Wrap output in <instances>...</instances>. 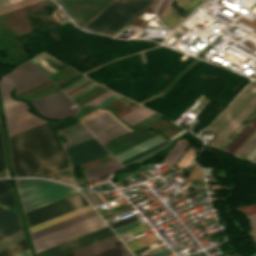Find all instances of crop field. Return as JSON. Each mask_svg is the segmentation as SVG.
I'll return each instance as SVG.
<instances>
[{
	"mask_svg": "<svg viewBox=\"0 0 256 256\" xmlns=\"http://www.w3.org/2000/svg\"><path fill=\"white\" fill-rule=\"evenodd\" d=\"M112 235H114V233L110 230L109 226H107L105 228L65 242L45 251L39 252L36 254V256H60Z\"/></svg>",
	"mask_w": 256,
	"mask_h": 256,
	"instance_id": "crop-field-13",
	"label": "crop field"
},
{
	"mask_svg": "<svg viewBox=\"0 0 256 256\" xmlns=\"http://www.w3.org/2000/svg\"><path fill=\"white\" fill-rule=\"evenodd\" d=\"M27 249L25 240H22L2 251H0V256H13L23 250Z\"/></svg>",
	"mask_w": 256,
	"mask_h": 256,
	"instance_id": "crop-field-27",
	"label": "crop field"
},
{
	"mask_svg": "<svg viewBox=\"0 0 256 256\" xmlns=\"http://www.w3.org/2000/svg\"><path fill=\"white\" fill-rule=\"evenodd\" d=\"M16 1H19V0H0V7Z\"/></svg>",
	"mask_w": 256,
	"mask_h": 256,
	"instance_id": "crop-field-45",
	"label": "crop field"
},
{
	"mask_svg": "<svg viewBox=\"0 0 256 256\" xmlns=\"http://www.w3.org/2000/svg\"><path fill=\"white\" fill-rule=\"evenodd\" d=\"M250 220H251V222H252V224H253V226H254V228H255V230H256V215L250 217Z\"/></svg>",
	"mask_w": 256,
	"mask_h": 256,
	"instance_id": "crop-field-47",
	"label": "crop field"
},
{
	"mask_svg": "<svg viewBox=\"0 0 256 256\" xmlns=\"http://www.w3.org/2000/svg\"><path fill=\"white\" fill-rule=\"evenodd\" d=\"M116 164H118V162L115 159H113L111 161H108L106 163H103V164L98 165V166H96L94 168H91L89 170L84 171V174H85V176H87L89 174L95 173L97 171H100L102 169L108 168V167L116 165Z\"/></svg>",
	"mask_w": 256,
	"mask_h": 256,
	"instance_id": "crop-field-32",
	"label": "crop field"
},
{
	"mask_svg": "<svg viewBox=\"0 0 256 256\" xmlns=\"http://www.w3.org/2000/svg\"><path fill=\"white\" fill-rule=\"evenodd\" d=\"M96 86H98V85H96V84L94 83V84H92V85L86 87L85 89L79 91L78 93H76V94H74V95H72V96H70V97H71V99L73 100V99L79 97L80 95L86 93L87 91L91 90L92 88H94V87H96Z\"/></svg>",
	"mask_w": 256,
	"mask_h": 256,
	"instance_id": "crop-field-42",
	"label": "crop field"
},
{
	"mask_svg": "<svg viewBox=\"0 0 256 256\" xmlns=\"http://www.w3.org/2000/svg\"><path fill=\"white\" fill-rule=\"evenodd\" d=\"M255 96L256 81H253L205 130L221 133L231 123V121L254 99Z\"/></svg>",
	"mask_w": 256,
	"mask_h": 256,
	"instance_id": "crop-field-8",
	"label": "crop field"
},
{
	"mask_svg": "<svg viewBox=\"0 0 256 256\" xmlns=\"http://www.w3.org/2000/svg\"><path fill=\"white\" fill-rule=\"evenodd\" d=\"M127 246L129 247V249L131 251L136 250L138 248H141V245L138 243V241L130 243V244H127Z\"/></svg>",
	"mask_w": 256,
	"mask_h": 256,
	"instance_id": "crop-field-44",
	"label": "crop field"
},
{
	"mask_svg": "<svg viewBox=\"0 0 256 256\" xmlns=\"http://www.w3.org/2000/svg\"><path fill=\"white\" fill-rule=\"evenodd\" d=\"M81 192L84 194V196L87 198V200L93 205V207L96 206V205H99L100 203L103 204L95 194H94L95 197L100 201V203H99L98 200L93 196L92 193H88V192H84V191H81Z\"/></svg>",
	"mask_w": 256,
	"mask_h": 256,
	"instance_id": "crop-field-37",
	"label": "crop field"
},
{
	"mask_svg": "<svg viewBox=\"0 0 256 256\" xmlns=\"http://www.w3.org/2000/svg\"><path fill=\"white\" fill-rule=\"evenodd\" d=\"M15 256H29L28 250H25V251H23V252H21V253L15 255Z\"/></svg>",
	"mask_w": 256,
	"mask_h": 256,
	"instance_id": "crop-field-49",
	"label": "crop field"
},
{
	"mask_svg": "<svg viewBox=\"0 0 256 256\" xmlns=\"http://www.w3.org/2000/svg\"><path fill=\"white\" fill-rule=\"evenodd\" d=\"M107 224L99 215L79 222L52 234L46 235L33 241L36 253L52 246L58 245L65 241L79 237L86 233L92 232L99 228L105 227Z\"/></svg>",
	"mask_w": 256,
	"mask_h": 256,
	"instance_id": "crop-field-5",
	"label": "crop field"
},
{
	"mask_svg": "<svg viewBox=\"0 0 256 256\" xmlns=\"http://www.w3.org/2000/svg\"><path fill=\"white\" fill-rule=\"evenodd\" d=\"M82 26L112 0H56Z\"/></svg>",
	"mask_w": 256,
	"mask_h": 256,
	"instance_id": "crop-field-9",
	"label": "crop field"
},
{
	"mask_svg": "<svg viewBox=\"0 0 256 256\" xmlns=\"http://www.w3.org/2000/svg\"><path fill=\"white\" fill-rule=\"evenodd\" d=\"M186 12L187 17L190 12L197 7L198 5L202 4L205 0H179ZM184 17V18H185ZM184 18L181 20L176 15V13L171 8L169 11H167L161 18H159L162 23L168 28L173 29L178 23H180Z\"/></svg>",
	"mask_w": 256,
	"mask_h": 256,
	"instance_id": "crop-field-18",
	"label": "crop field"
},
{
	"mask_svg": "<svg viewBox=\"0 0 256 256\" xmlns=\"http://www.w3.org/2000/svg\"><path fill=\"white\" fill-rule=\"evenodd\" d=\"M97 215L96 211L93 210V211H90L88 213H85V214H82L80 216H77V217H74V218H71L69 220H66V221H63L61 223H58V224H55L53 226H50V227H47V228H44L42 230H39V231H36L34 233H31V239H35V238H38V237H41L43 235H46L48 233H51L53 231H56V230H59L61 228H64L66 226H69L71 224H74V223H77L79 221H82L84 219H87L89 217H92V216H95Z\"/></svg>",
	"mask_w": 256,
	"mask_h": 256,
	"instance_id": "crop-field-20",
	"label": "crop field"
},
{
	"mask_svg": "<svg viewBox=\"0 0 256 256\" xmlns=\"http://www.w3.org/2000/svg\"><path fill=\"white\" fill-rule=\"evenodd\" d=\"M157 135V133L152 131H144V132H136L132 131L120 138H117L107 144L105 146L109 149V151L115 155L127 148H130L142 141H145L153 136Z\"/></svg>",
	"mask_w": 256,
	"mask_h": 256,
	"instance_id": "crop-field-15",
	"label": "crop field"
},
{
	"mask_svg": "<svg viewBox=\"0 0 256 256\" xmlns=\"http://www.w3.org/2000/svg\"><path fill=\"white\" fill-rule=\"evenodd\" d=\"M49 80L29 60L14 68V70L0 79V89L3 104L10 102L12 85L16 94Z\"/></svg>",
	"mask_w": 256,
	"mask_h": 256,
	"instance_id": "crop-field-4",
	"label": "crop field"
},
{
	"mask_svg": "<svg viewBox=\"0 0 256 256\" xmlns=\"http://www.w3.org/2000/svg\"><path fill=\"white\" fill-rule=\"evenodd\" d=\"M84 124L103 144L129 132L106 112L84 122Z\"/></svg>",
	"mask_w": 256,
	"mask_h": 256,
	"instance_id": "crop-field-11",
	"label": "crop field"
},
{
	"mask_svg": "<svg viewBox=\"0 0 256 256\" xmlns=\"http://www.w3.org/2000/svg\"><path fill=\"white\" fill-rule=\"evenodd\" d=\"M256 130V117L239 133V135L224 149L233 154L237 148Z\"/></svg>",
	"mask_w": 256,
	"mask_h": 256,
	"instance_id": "crop-field-22",
	"label": "crop field"
},
{
	"mask_svg": "<svg viewBox=\"0 0 256 256\" xmlns=\"http://www.w3.org/2000/svg\"><path fill=\"white\" fill-rule=\"evenodd\" d=\"M9 136L19 133L23 130L46 123L44 120L34 117L25 110L29 109L26 104L20 101H13L3 105Z\"/></svg>",
	"mask_w": 256,
	"mask_h": 256,
	"instance_id": "crop-field-7",
	"label": "crop field"
},
{
	"mask_svg": "<svg viewBox=\"0 0 256 256\" xmlns=\"http://www.w3.org/2000/svg\"><path fill=\"white\" fill-rule=\"evenodd\" d=\"M170 0H163L162 3L160 4L159 8H158V11H157V16L158 18L163 15L168 3H169Z\"/></svg>",
	"mask_w": 256,
	"mask_h": 256,
	"instance_id": "crop-field-41",
	"label": "crop field"
},
{
	"mask_svg": "<svg viewBox=\"0 0 256 256\" xmlns=\"http://www.w3.org/2000/svg\"><path fill=\"white\" fill-rule=\"evenodd\" d=\"M71 168L109 154L102 144L91 138L64 150Z\"/></svg>",
	"mask_w": 256,
	"mask_h": 256,
	"instance_id": "crop-field-10",
	"label": "crop field"
},
{
	"mask_svg": "<svg viewBox=\"0 0 256 256\" xmlns=\"http://www.w3.org/2000/svg\"><path fill=\"white\" fill-rule=\"evenodd\" d=\"M168 254H171V252H170L169 249H167V250H165V251H162V252H160V253H158V254H155V255H153V256H165V255H168Z\"/></svg>",
	"mask_w": 256,
	"mask_h": 256,
	"instance_id": "crop-field-46",
	"label": "crop field"
},
{
	"mask_svg": "<svg viewBox=\"0 0 256 256\" xmlns=\"http://www.w3.org/2000/svg\"><path fill=\"white\" fill-rule=\"evenodd\" d=\"M0 201L15 205L9 185L1 182H0Z\"/></svg>",
	"mask_w": 256,
	"mask_h": 256,
	"instance_id": "crop-field-28",
	"label": "crop field"
},
{
	"mask_svg": "<svg viewBox=\"0 0 256 256\" xmlns=\"http://www.w3.org/2000/svg\"><path fill=\"white\" fill-rule=\"evenodd\" d=\"M256 138V131L243 143V145L234 153V155L239 156L246 148L247 146Z\"/></svg>",
	"mask_w": 256,
	"mask_h": 256,
	"instance_id": "crop-field-34",
	"label": "crop field"
},
{
	"mask_svg": "<svg viewBox=\"0 0 256 256\" xmlns=\"http://www.w3.org/2000/svg\"><path fill=\"white\" fill-rule=\"evenodd\" d=\"M128 254H130L129 250L114 235L63 256H125Z\"/></svg>",
	"mask_w": 256,
	"mask_h": 256,
	"instance_id": "crop-field-12",
	"label": "crop field"
},
{
	"mask_svg": "<svg viewBox=\"0 0 256 256\" xmlns=\"http://www.w3.org/2000/svg\"><path fill=\"white\" fill-rule=\"evenodd\" d=\"M120 97H121V96H118V95L114 94V95L108 97L107 99H105V100L99 102L98 104H96V105H94V106H106V105L110 104L111 102L117 100V99L120 98Z\"/></svg>",
	"mask_w": 256,
	"mask_h": 256,
	"instance_id": "crop-field-38",
	"label": "crop field"
},
{
	"mask_svg": "<svg viewBox=\"0 0 256 256\" xmlns=\"http://www.w3.org/2000/svg\"><path fill=\"white\" fill-rule=\"evenodd\" d=\"M40 115L46 117L75 105L61 90L32 102Z\"/></svg>",
	"mask_w": 256,
	"mask_h": 256,
	"instance_id": "crop-field-14",
	"label": "crop field"
},
{
	"mask_svg": "<svg viewBox=\"0 0 256 256\" xmlns=\"http://www.w3.org/2000/svg\"><path fill=\"white\" fill-rule=\"evenodd\" d=\"M255 116L256 109L232 132V134L218 148L223 150Z\"/></svg>",
	"mask_w": 256,
	"mask_h": 256,
	"instance_id": "crop-field-26",
	"label": "crop field"
},
{
	"mask_svg": "<svg viewBox=\"0 0 256 256\" xmlns=\"http://www.w3.org/2000/svg\"><path fill=\"white\" fill-rule=\"evenodd\" d=\"M144 225V224H143ZM141 226V225H140ZM137 227H139V226H137ZM136 228V227H135ZM133 229V228H132ZM129 230H131V229H129ZM126 231H128V230H126ZM126 231H123V232H121V233H124V232H126ZM121 233H118V236L120 237V235L119 234H121ZM121 238V237H120Z\"/></svg>",
	"mask_w": 256,
	"mask_h": 256,
	"instance_id": "crop-field-50",
	"label": "crop field"
},
{
	"mask_svg": "<svg viewBox=\"0 0 256 256\" xmlns=\"http://www.w3.org/2000/svg\"><path fill=\"white\" fill-rule=\"evenodd\" d=\"M88 205L80 193L26 213L28 226L38 224L72 210Z\"/></svg>",
	"mask_w": 256,
	"mask_h": 256,
	"instance_id": "crop-field-6",
	"label": "crop field"
},
{
	"mask_svg": "<svg viewBox=\"0 0 256 256\" xmlns=\"http://www.w3.org/2000/svg\"><path fill=\"white\" fill-rule=\"evenodd\" d=\"M4 167H5L4 154H3V146H2V140H1V134H0V172L3 171Z\"/></svg>",
	"mask_w": 256,
	"mask_h": 256,
	"instance_id": "crop-field-40",
	"label": "crop field"
},
{
	"mask_svg": "<svg viewBox=\"0 0 256 256\" xmlns=\"http://www.w3.org/2000/svg\"><path fill=\"white\" fill-rule=\"evenodd\" d=\"M120 168H121V166H120V164H118L116 166L110 167V168L105 169L103 171H100V172H97L95 174L89 175V176H87V179L89 180V182H91V181H93L95 179H98V178H100L102 176H105V175H107L109 173H112V172H114V171H116V170H118Z\"/></svg>",
	"mask_w": 256,
	"mask_h": 256,
	"instance_id": "crop-field-31",
	"label": "crop field"
},
{
	"mask_svg": "<svg viewBox=\"0 0 256 256\" xmlns=\"http://www.w3.org/2000/svg\"><path fill=\"white\" fill-rule=\"evenodd\" d=\"M90 210H93V208H92L90 205H88V206H86V207L80 208V209H78V210L72 211V212H70V213H67V214H64V215H62V216L56 217V218H54V219L48 220V221H46V222L40 223V224H38V225L32 226V227L29 228V231H30V233H31V232H34V231H36V230H39V229H42V228H44V227L53 225V224H55V223L61 222V221H63V220L69 219V218H71V217L80 215V214L85 213V212H88V211H90Z\"/></svg>",
	"mask_w": 256,
	"mask_h": 256,
	"instance_id": "crop-field-23",
	"label": "crop field"
},
{
	"mask_svg": "<svg viewBox=\"0 0 256 256\" xmlns=\"http://www.w3.org/2000/svg\"><path fill=\"white\" fill-rule=\"evenodd\" d=\"M136 220H138V219L134 215H132V216L127 217V218H125L123 220H120L118 222L112 223V224H110V226L112 228H115V227H119V226H122V225H125V224H128V223H131V222L136 221Z\"/></svg>",
	"mask_w": 256,
	"mask_h": 256,
	"instance_id": "crop-field-35",
	"label": "crop field"
},
{
	"mask_svg": "<svg viewBox=\"0 0 256 256\" xmlns=\"http://www.w3.org/2000/svg\"><path fill=\"white\" fill-rule=\"evenodd\" d=\"M253 162H256V158L253 160Z\"/></svg>",
	"mask_w": 256,
	"mask_h": 256,
	"instance_id": "crop-field-52",
	"label": "crop field"
},
{
	"mask_svg": "<svg viewBox=\"0 0 256 256\" xmlns=\"http://www.w3.org/2000/svg\"><path fill=\"white\" fill-rule=\"evenodd\" d=\"M109 91H110V90H109ZM109 91L106 92V93H104V94H102V95H100L99 97H97V98H95V99L89 101L88 103H86V104H84V105H82V106H88V105L92 106V105L98 103L99 101H101V100L107 98L108 96H110V95H112V94L114 93V92L111 93L112 91H111V92H109ZM82 106H80V107H82Z\"/></svg>",
	"mask_w": 256,
	"mask_h": 256,
	"instance_id": "crop-field-36",
	"label": "crop field"
},
{
	"mask_svg": "<svg viewBox=\"0 0 256 256\" xmlns=\"http://www.w3.org/2000/svg\"><path fill=\"white\" fill-rule=\"evenodd\" d=\"M87 80H89V79H87V78L84 77V78L78 80L77 82H75V83L69 85L68 87H66V88H64V89H62V90L66 93V92L72 90L73 88L77 87L78 85L84 83V82L87 81Z\"/></svg>",
	"mask_w": 256,
	"mask_h": 256,
	"instance_id": "crop-field-39",
	"label": "crop field"
},
{
	"mask_svg": "<svg viewBox=\"0 0 256 256\" xmlns=\"http://www.w3.org/2000/svg\"><path fill=\"white\" fill-rule=\"evenodd\" d=\"M5 208L0 207V211L4 210Z\"/></svg>",
	"mask_w": 256,
	"mask_h": 256,
	"instance_id": "crop-field-51",
	"label": "crop field"
},
{
	"mask_svg": "<svg viewBox=\"0 0 256 256\" xmlns=\"http://www.w3.org/2000/svg\"><path fill=\"white\" fill-rule=\"evenodd\" d=\"M152 114L154 113L139 106L120 118L123 119L129 125L133 126Z\"/></svg>",
	"mask_w": 256,
	"mask_h": 256,
	"instance_id": "crop-field-24",
	"label": "crop field"
},
{
	"mask_svg": "<svg viewBox=\"0 0 256 256\" xmlns=\"http://www.w3.org/2000/svg\"><path fill=\"white\" fill-rule=\"evenodd\" d=\"M169 143H171V142L166 141V142H164V143H162V144H160V145H158V146H155V147H153V148H151V149H149V150H147V151H145V152H142V153H140V154H138V155H136V156H134V157H131V158H129V159H127V160L121 162V164L124 165V164H126V163H128V162H130V161H132V160H134V159H137V158H139V157H141V156H143V155H145V154H148V153H150V152H152V151H154V150H156V149H158V148H161V147H163V146H165V145H167V144H169Z\"/></svg>",
	"mask_w": 256,
	"mask_h": 256,
	"instance_id": "crop-field-33",
	"label": "crop field"
},
{
	"mask_svg": "<svg viewBox=\"0 0 256 256\" xmlns=\"http://www.w3.org/2000/svg\"><path fill=\"white\" fill-rule=\"evenodd\" d=\"M21 229L18 213L8 209L0 212V240Z\"/></svg>",
	"mask_w": 256,
	"mask_h": 256,
	"instance_id": "crop-field-17",
	"label": "crop field"
},
{
	"mask_svg": "<svg viewBox=\"0 0 256 256\" xmlns=\"http://www.w3.org/2000/svg\"><path fill=\"white\" fill-rule=\"evenodd\" d=\"M154 0H113L82 28L113 36Z\"/></svg>",
	"mask_w": 256,
	"mask_h": 256,
	"instance_id": "crop-field-2",
	"label": "crop field"
},
{
	"mask_svg": "<svg viewBox=\"0 0 256 256\" xmlns=\"http://www.w3.org/2000/svg\"><path fill=\"white\" fill-rule=\"evenodd\" d=\"M16 181L25 213L79 192L75 188L46 180L18 179Z\"/></svg>",
	"mask_w": 256,
	"mask_h": 256,
	"instance_id": "crop-field-3",
	"label": "crop field"
},
{
	"mask_svg": "<svg viewBox=\"0 0 256 256\" xmlns=\"http://www.w3.org/2000/svg\"><path fill=\"white\" fill-rule=\"evenodd\" d=\"M22 239H24V237H23L22 231H20L2 241H0V250L20 241Z\"/></svg>",
	"mask_w": 256,
	"mask_h": 256,
	"instance_id": "crop-field-30",
	"label": "crop field"
},
{
	"mask_svg": "<svg viewBox=\"0 0 256 256\" xmlns=\"http://www.w3.org/2000/svg\"><path fill=\"white\" fill-rule=\"evenodd\" d=\"M255 108L256 98L233 120V122L210 144V146L217 148Z\"/></svg>",
	"mask_w": 256,
	"mask_h": 256,
	"instance_id": "crop-field-19",
	"label": "crop field"
},
{
	"mask_svg": "<svg viewBox=\"0 0 256 256\" xmlns=\"http://www.w3.org/2000/svg\"><path fill=\"white\" fill-rule=\"evenodd\" d=\"M188 145L178 143L175 147H173L164 160H166L172 167L176 163V161L179 159L181 154L184 152V150L187 148Z\"/></svg>",
	"mask_w": 256,
	"mask_h": 256,
	"instance_id": "crop-field-25",
	"label": "crop field"
},
{
	"mask_svg": "<svg viewBox=\"0 0 256 256\" xmlns=\"http://www.w3.org/2000/svg\"><path fill=\"white\" fill-rule=\"evenodd\" d=\"M57 133L59 136L63 135L68 141L62 144L64 149L93 137V135L82 125L81 122L62 129Z\"/></svg>",
	"mask_w": 256,
	"mask_h": 256,
	"instance_id": "crop-field-16",
	"label": "crop field"
},
{
	"mask_svg": "<svg viewBox=\"0 0 256 256\" xmlns=\"http://www.w3.org/2000/svg\"><path fill=\"white\" fill-rule=\"evenodd\" d=\"M78 109L79 108L77 107V105H75L71 108H68L64 111H61V112H59L55 115H52L48 118L54 119V120H63V119H66V118L74 117Z\"/></svg>",
	"mask_w": 256,
	"mask_h": 256,
	"instance_id": "crop-field-29",
	"label": "crop field"
},
{
	"mask_svg": "<svg viewBox=\"0 0 256 256\" xmlns=\"http://www.w3.org/2000/svg\"><path fill=\"white\" fill-rule=\"evenodd\" d=\"M147 229H149V227H148V226L143 227V228L138 229V230H135V231H133V233H134V234H136V233H139V232L144 231V230H147Z\"/></svg>",
	"mask_w": 256,
	"mask_h": 256,
	"instance_id": "crop-field-48",
	"label": "crop field"
},
{
	"mask_svg": "<svg viewBox=\"0 0 256 256\" xmlns=\"http://www.w3.org/2000/svg\"><path fill=\"white\" fill-rule=\"evenodd\" d=\"M136 225H139V222H138V221L133 222V223H131V224H128V225H126V226H124V227H122V228L116 229V230H114V231H115L116 233H118V232H121V231H123V230H126V229H129V228H131V227H134V226H136Z\"/></svg>",
	"mask_w": 256,
	"mask_h": 256,
	"instance_id": "crop-field-43",
	"label": "crop field"
},
{
	"mask_svg": "<svg viewBox=\"0 0 256 256\" xmlns=\"http://www.w3.org/2000/svg\"><path fill=\"white\" fill-rule=\"evenodd\" d=\"M10 142L18 176H41L69 167L56 131L48 123L11 136Z\"/></svg>",
	"mask_w": 256,
	"mask_h": 256,
	"instance_id": "crop-field-1",
	"label": "crop field"
},
{
	"mask_svg": "<svg viewBox=\"0 0 256 256\" xmlns=\"http://www.w3.org/2000/svg\"><path fill=\"white\" fill-rule=\"evenodd\" d=\"M163 141H165V140L158 135V136H156V137H154L150 140H147V141H145V142H143V143H141L137 146H134V147H132V148L126 150V151H123V152L115 155V157L117 158V160L119 162H121V161H123V160H125V159H127V158H129L133 155H136V154H138V153H140V152H142V151H144V150H146L150 147H153V146H155V145H157V144H159Z\"/></svg>",
	"mask_w": 256,
	"mask_h": 256,
	"instance_id": "crop-field-21",
	"label": "crop field"
}]
</instances>
